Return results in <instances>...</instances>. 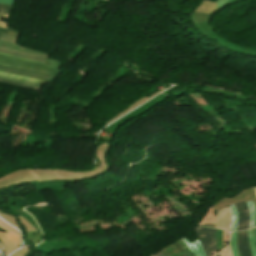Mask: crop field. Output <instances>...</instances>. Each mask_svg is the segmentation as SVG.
<instances>
[{
  "label": "crop field",
  "mask_w": 256,
  "mask_h": 256,
  "mask_svg": "<svg viewBox=\"0 0 256 256\" xmlns=\"http://www.w3.org/2000/svg\"><path fill=\"white\" fill-rule=\"evenodd\" d=\"M0 224L13 230V231L20 233L16 229H14L11 226L4 223L1 219H0ZM1 228H3V227H1ZM3 229L9 232L6 234L0 232V239L2 240V243L4 246V251H5V256H6L7 254L11 253L12 251H14L15 249H17L20 246L21 238H20V234L14 233L6 228H3Z\"/></svg>",
  "instance_id": "obj_1"
},
{
  "label": "crop field",
  "mask_w": 256,
  "mask_h": 256,
  "mask_svg": "<svg viewBox=\"0 0 256 256\" xmlns=\"http://www.w3.org/2000/svg\"><path fill=\"white\" fill-rule=\"evenodd\" d=\"M216 230L202 228L200 226L195 227L196 235L201 243V246L206 254V256H211L209 252L216 250V243H215V234Z\"/></svg>",
  "instance_id": "obj_2"
},
{
  "label": "crop field",
  "mask_w": 256,
  "mask_h": 256,
  "mask_svg": "<svg viewBox=\"0 0 256 256\" xmlns=\"http://www.w3.org/2000/svg\"><path fill=\"white\" fill-rule=\"evenodd\" d=\"M235 206L238 212L237 231L247 229L249 224V212L246 202L238 203Z\"/></svg>",
  "instance_id": "obj_3"
},
{
  "label": "crop field",
  "mask_w": 256,
  "mask_h": 256,
  "mask_svg": "<svg viewBox=\"0 0 256 256\" xmlns=\"http://www.w3.org/2000/svg\"><path fill=\"white\" fill-rule=\"evenodd\" d=\"M237 242L240 256H251L246 232L237 233Z\"/></svg>",
  "instance_id": "obj_4"
},
{
  "label": "crop field",
  "mask_w": 256,
  "mask_h": 256,
  "mask_svg": "<svg viewBox=\"0 0 256 256\" xmlns=\"http://www.w3.org/2000/svg\"><path fill=\"white\" fill-rule=\"evenodd\" d=\"M248 203V207L250 209V224H249V228L254 227V222H255V210L253 207L252 202H247ZM230 209L232 212V227H231V231H236V226H237V213L235 211L234 205H230Z\"/></svg>",
  "instance_id": "obj_5"
},
{
  "label": "crop field",
  "mask_w": 256,
  "mask_h": 256,
  "mask_svg": "<svg viewBox=\"0 0 256 256\" xmlns=\"http://www.w3.org/2000/svg\"><path fill=\"white\" fill-rule=\"evenodd\" d=\"M181 239L188 245V247L192 250L195 256H205L198 240L191 244V242L188 241L186 238L183 237Z\"/></svg>",
  "instance_id": "obj_6"
},
{
  "label": "crop field",
  "mask_w": 256,
  "mask_h": 256,
  "mask_svg": "<svg viewBox=\"0 0 256 256\" xmlns=\"http://www.w3.org/2000/svg\"><path fill=\"white\" fill-rule=\"evenodd\" d=\"M230 248L233 256H238L237 243H236V232L231 233Z\"/></svg>",
  "instance_id": "obj_7"
},
{
  "label": "crop field",
  "mask_w": 256,
  "mask_h": 256,
  "mask_svg": "<svg viewBox=\"0 0 256 256\" xmlns=\"http://www.w3.org/2000/svg\"><path fill=\"white\" fill-rule=\"evenodd\" d=\"M0 83L16 86V87H20V88H26V89H33V90H37L38 89V87H34V86L26 85V84H21V83L5 81V80H0Z\"/></svg>",
  "instance_id": "obj_8"
},
{
  "label": "crop field",
  "mask_w": 256,
  "mask_h": 256,
  "mask_svg": "<svg viewBox=\"0 0 256 256\" xmlns=\"http://www.w3.org/2000/svg\"><path fill=\"white\" fill-rule=\"evenodd\" d=\"M247 233H248V237H249L252 254H253V256H256V248H255V244H254L253 233L251 230L247 231Z\"/></svg>",
  "instance_id": "obj_9"
},
{
  "label": "crop field",
  "mask_w": 256,
  "mask_h": 256,
  "mask_svg": "<svg viewBox=\"0 0 256 256\" xmlns=\"http://www.w3.org/2000/svg\"><path fill=\"white\" fill-rule=\"evenodd\" d=\"M0 33L9 34V35H12V36L17 37V38L20 35V32L14 31V30L9 29V28H7V30H4V29L0 28Z\"/></svg>",
  "instance_id": "obj_10"
},
{
  "label": "crop field",
  "mask_w": 256,
  "mask_h": 256,
  "mask_svg": "<svg viewBox=\"0 0 256 256\" xmlns=\"http://www.w3.org/2000/svg\"><path fill=\"white\" fill-rule=\"evenodd\" d=\"M13 5L0 4V13L10 14Z\"/></svg>",
  "instance_id": "obj_11"
},
{
  "label": "crop field",
  "mask_w": 256,
  "mask_h": 256,
  "mask_svg": "<svg viewBox=\"0 0 256 256\" xmlns=\"http://www.w3.org/2000/svg\"><path fill=\"white\" fill-rule=\"evenodd\" d=\"M0 74L7 75V76H12V77H17V78H22V79H26V80H31V81H36V82L45 83V81H43V80H37V79L26 78V77H22V76L10 74V73H5V72H0Z\"/></svg>",
  "instance_id": "obj_12"
},
{
  "label": "crop field",
  "mask_w": 256,
  "mask_h": 256,
  "mask_svg": "<svg viewBox=\"0 0 256 256\" xmlns=\"http://www.w3.org/2000/svg\"><path fill=\"white\" fill-rule=\"evenodd\" d=\"M0 70L9 71V72L18 73V74H23V75H28V76H34V77H40V78H46V79H49V77H45V76H37V75H31L32 73H31V74H26V73H22V72H18V71L10 70V69H5V68H0Z\"/></svg>",
  "instance_id": "obj_13"
},
{
  "label": "crop field",
  "mask_w": 256,
  "mask_h": 256,
  "mask_svg": "<svg viewBox=\"0 0 256 256\" xmlns=\"http://www.w3.org/2000/svg\"><path fill=\"white\" fill-rule=\"evenodd\" d=\"M8 16L9 15H6V14H0V17L8 18ZM0 27L5 28V29L7 28V24L4 21H1V19H0Z\"/></svg>",
  "instance_id": "obj_14"
},
{
  "label": "crop field",
  "mask_w": 256,
  "mask_h": 256,
  "mask_svg": "<svg viewBox=\"0 0 256 256\" xmlns=\"http://www.w3.org/2000/svg\"><path fill=\"white\" fill-rule=\"evenodd\" d=\"M210 92L211 93H222V94H225V95L237 97V95H235V94H231V93H227V92H223V91H218V90H214V89H211Z\"/></svg>",
  "instance_id": "obj_15"
},
{
  "label": "crop field",
  "mask_w": 256,
  "mask_h": 256,
  "mask_svg": "<svg viewBox=\"0 0 256 256\" xmlns=\"http://www.w3.org/2000/svg\"><path fill=\"white\" fill-rule=\"evenodd\" d=\"M15 0H0V3H10L13 4Z\"/></svg>",
  "instance_id": "obj_16"
},
{
  "label": "crop field",
  "mask_w": 256,
  "mask_h": 256,
  "mask_svg": "<svg viewBox=\"0 0 256 256\" xmlns=\"http://www.w3.org/2000/svg\"><path fill=\"white\" fill-rule=\"evenodd\" d=\"M150 256H164V254L161 251H159V252L154 253V254H152Z\"/></svg>",
  "instance_id": "obj_17"
},
{
  "label": "crop field",
  "mask_w": 256,
  "mask_h": 256,
  "mask_svg": "<svg viewBox=\"0 0 256 256\" xmlns=\"http://www.w3.org/2000/svg\"><path fill=\"white\" fill-rule=\"evenodd\" d=\"M253 233H254V237H255V244H256V228H253Z\"/></svg>",
  "instance_id": "obj_18"
},
{
  "label": "crop field",
  "mask_w": 256,
  "mask_h": 256,
  "mask_svg": "<svg viewBox=\"0 0 256 256\" xmlns=\"http://www.w3.org/2000/svg\"><path fill=\"white\" fill-rule=\"evenodd\" d=\"M0 54H2V53H0ZM2 55H5V54H2ZM6 56H9V55H6ZM10 57H13V56H10ZM14 58H17V57H14ZM18 59H21V58H18ZM23 60H25V59H23ZM29 61H31V60H29ZM36 62V61H35ZM42 63V62H41Z\"/></svg>",
  "instance_id": "obj_19"
},
{
  "label": "crop field",
  "mask_w": 256,
  "mask_h": 256,
  "mask_svg": "<svg viewBox=\"0 0 256 256\" xmlns=\"http://www.w3.org/2000/svg\"><path fill=\"white\" fill-rule=\"evenodd\" d=\"M253 204H254L255 210H256V201H254ZM255 227H256V223H255Z\"/></svg>",
  "instance_id": "obj_20"
},
{
  "label": "crop field",
  "mask_w": 256,
  "mask_h": 256,
  "mask_svg": "<svg viewBox=\"0 0 256 256\" xmlns=\"http://www.w3.org/2000/svg\"><path fill=\"white\" fill-rule=\"evenodd\" d=\"M216 256H219V255H216Z\"/></svg>",
  "instance_id": "obj_21"
}]
</instances>
